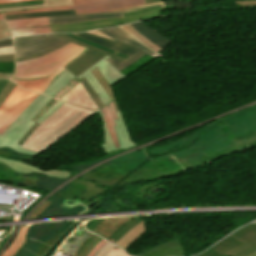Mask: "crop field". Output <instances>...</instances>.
Returning <instances> with one entry per match:
<instances>
[{
    "mask_svg": "<svg viewBox=\"0 0 256 256\" xmlns=\"http://www.w3.org/2000/svg\"><path fill=\"white\" fill-rule=\"evenodd\" d=\"M10 31L13 37L20 36V35H29V34L50 33L49 26L27 28V29H16V30H10Z\"/></svg>",
    "mask_w": 256,
    "mask_h": 256,
    "instance_id": "crop-field-31",
    "label": "crop field"
},
{
    "mask_svg": "<svg viewBox=\"0 0 256 256\" xmlns=\"http://www.w3.org/2000/svg\"><path fill=\"white\" fill-rule=\"evenodd\" d=\"M108 190L109 188L99 187L98 185L90 181L74 180L61 188L59 191H57L55 195L64 198L84 199L90 201L96 196Z\"/></svg>",
    "mask_w": 256,
    "mask_h": 256,
    "instance_id": "crop-field-14",
    "label": "crop field"
},
{
    "mask_svg": "<svg viewBox=\"0 0 256 256\" xmlns=\"http://www.w3.org/2000/svg\"><path fill=\"white\" fill-rule=\"evenodd\" d=\"M178 246H182L181 242L179 241V239H176L174 241H170V242H167V243H163V244H160V245H157V246H154L146 251H143L135 256H144L148 253H151L153 251H156V250H159V249H164V248H170V247H178Z\"/></svg>",
    "mask_w": 256,
    "mask_h": 256,
    "instance_id": "crop-field-33",
    "label": "crop field"
},
{
    "mask_svg": "<svg viewBox=\"0 0 256 256\" xmlns=\"http://www.w3.org/2000/svg\"><path fill=\"white\" fill-rule=\"evenodd\" d=\"M146 256H185L183 247L164 249Z\"/></svg>",
    "mask_w": 256,
    "mask_h": 256,
    "instance_id": "crop-field-32",
    "label": "crop field"
},
{
    "mask_svg": "<svg viewBox=\"0 0 256 256\" xmlns=\"http://www.w3.org/2000/svg\"><path fill=\"white\" fill-rule=\"evenodd\" d=\"M43 3L44 5H40V6L3 9V10H0V12L27 10V9L44 8V7H56V6H65V5L72 4L71 0H43Z\"/></svg>",
    "mask_w": 256,
    "mask_h": 256,
    "instance_id": "crop-field-28",
    "label": "crop field"
},
{
    "mask_svg": "<svg viewBox=\"0 0 256 256\" xmlns=\"http://www.w3.org/2000/svg\"><path fill=\"white\" fill-rule=\"evenodd\" d=\"M63 233L59 232L54 238L50 239L49 241L43 243L38 247V253L36 256H43L48 249L54 244V242L62 235Z\"/></svg>",
    "mask_w": 256,
    "mask_h": 256,
    "instance_id": "crop-field-35",
    "label": "crop field"
},
{
    "mask_svg": "<svg viewBox=\"0 0 256 256\" xmlns=\"http://www.w3.org/2000/svg\"><path fill=\"white\" fill-rule=\"evenodd\" d=\"M100 31H102L103 33H105L106 35L110 36L111 38H113L116 41H119V42H122V43H126V44L132 45V46L140 49L139 51H137L136 53L132 54L125 61H123L121 63L118 62L117 60L111 58V57L109 59H107L110 62V64L113 67H115L116 69H118L119 71L124 69L130 63L136 61L137 59H139L140 57H142L146 53L151 55V56H153V57H156V58L160 57V56L155 55L154 53H152L148 49H146L144 46H142L140 43H138L132 37L127 35L119 27H117V28H110V29H100Z\"/></svg>",
    "mask_w": 256,
    "mask_h": 256,
    "instance_id": "crop-field-13",
    "label": "crop field"
},
{
    "mask_svg": "<svg viewBox=\"0 0 256 256\" xmlns=\"http://www.w3.org/2000/svg\"><path fill=\"white\" fill-rule=\"evenodd\" d=\"M106 256H130L124 251L116 248L115 246L111 249V251Z\"/></svg>",
    "mask_w": 256,
    "mask_h": 256,
    "instance_id": "crop-field-46",
    "label": "crop field"
},
{
    "mask_svg": "<svg viewBox=\"0 0 256 256\" xmlns=\"http://www.w3.org/2000/svg\"><path fill=\"white\" fill-rule=\"evenodd\" d=\"M36 95L37 93L15 86L0 106V135Z\"/></svg>",
    "mask_w": 256,
    "mask_h": 256,
    "instance_id": "crop-field-7",
    "label": "crop field"
},
{
    "mask_svg": "<svg viewBox=\"0 0 256 256\" xmlns=\"http://www.w3.org/2000/svg\"><path fill=\"white\" fill-rule=\"evenodd\" d=\"M158 6H163V5H158ZM158 6H150L145 8L131 9L126 11H118V12L83 14V15H74V16H65V17H49V20H50V24H63V23H77V22H88V21L121 18V17H124L123 13H126V12L158 7Z\"/></svg>",
    "mask_w": 256,
    "mask_h": 256,
    "instance_id": "crop-field-16",
    "label": "crop field"
},
{
    "mask_svg": "<svg viewBox=\"0 0 256 256\" xmlns=\"http://www.w3.org/2000/svg\"><path fill=\"white\" fill-rule=\"evenodd\" d=\"M198 256H256V224H250L231 234Z\"/></svg>",
    "mask_w": 256,
    "mask_h": 256,
    "instance_id": "crop-field-3",
    "label": "crop field"
},
{
    "mask_svg": "<svg viewBox=\"0 0 256 256\" xmlns=\"http://www.w3.org/2000/svg\"><path fill=\"white\" fill-rule=\"evenodd\" d=\"M72 1L74 5H71V6L34 9V10H27V11L3 13V14L32 13V12L67 10V9H75L77 14H82V13H93V12L117 11V10L144 7L149 5L163 4L162 2H158V3L144 5L143 0H72Z\"/></svg>",
    "mask_w": 256,
    "mask_h": 256,
    "instance_id": "crop-field-4",
    "label": "crop field"
},
{
    "mask_svg": "<svg viewBox=\"0 0 256 256\" xmlns=\"http://www.w3.org/2000/svg\"><path fill=\"white\" fill-rule=\"evenodd\" d=\"M79 81L83 84L86 91L89 93V95L92 97V99L96 102V104L99 106V108L103 107V103L100 101V99L97 97V95L94 93V91L91 89V87L86 82L85 78L79 79Z\"/></svg>",
    "mask_w": 256,
    "mask_h": 256,
    "instance_id": "crop-field-36",
    "label": "crop field"
},
{
    "mask_svg": "<svg viewBox=\"0 0 256 256\" xmlns=\"http://www.w3.org/2000/svg\"><path fill=\"white\" fill-rule=\"evenodd\" d=\"M99 237L97 235H93L89 241L82 247V249L78 252V254L76 256H83L88 250L89 248L95 243V241L98 239Z\"/></svg>",
    "mask_w": 256,
    "mask_h": 256,
    "instance_id": "crop-field-39",
    "label": "crop field"
},
{
    "mask_svg": "<svg viewBox=\"0 0 256 256\" xmlns=\"http://www.w3.org/2000/svg\"><path fill=\"white\" fill-rule=\"evenodd\" d=\"M66 35H68V36H70V37H72V38H74V39H76V40H78V41H81V42H83V43L92 45V46L97 47V48H100V49H102V50H104V51H107V52H110V53H112V54H115V55H117V56H119V57H122V58H124V59L127 58V56H125V55H122V54H120V53H118V52H115V51H112V50H110V49H107V48H105V47L96 45V44H94V43L88 42V41H86V40L80 39V38L75 37V36H73V35H71V34H66Z\"/></svg>",
    "mask_w": 256,
    "mask_h": 256,
    "instance_id": "crop-field-37",
    "label": "crop field"
},
{
    "mask_svg": "<svg viewBox=\"0 0 256 256\" xmlns=\"http://www.w3.org/2000/svg\"><path fill=\"white\" fill-rule=\"evenodd\" d=\"M7 37H11L10 32L5 25V22L4 21L0 22V39L7 38Z\"/></svg>",
    "mask_w": 256,
    "mask_h": 256,
    "instance_id": "crop-field-44",
    "label": "crop field"
},
{
    "mask_svg": "<svg viewBox=\"0 0 256 256\" xmlns=\"http://www.w3.org/2000/svg\"><path fill=\"white\" fill-rule=\"evenodd\" d=\"M67 73H69V72H67L66 70L56 79V80H54L41 94H44V95H46L49 91H50V89L63 77V76H65Z\"/></svg>",
    "mask_w": 256,
    "mask_h": 256,
    "instance_id": "crop-field-47",
    "label": "crop field"
},
{
    "mask_svg": "<svg viewBox=\"0 0 256 256\" xmlns=\"http://www.w3.org/2000/svg\"><path fill=\"white\" fill-rule=\"evenodd\" d=\"M144 223L139 217H135L120 228L108 241L125 250L145 233Z\"/></svg>",
    "mask_w": 256,
    "mask_h": 256,
    "instance_id": "crop-field-15",
    "label": "crop field"
},
{
    "mask_svg": "<svg viewBox=\"0 0 256 256\" xmlns=\"http://www.w3.org/2000/svg\"><path fill=\"white\" fill-rule=\"evenodd\" d=\"M101 111L110 136L118 151L136 145L128 133L127 126L120 112H116L113 101L102 108Z\"/></svg>",
    "mask_w": 256,
    "mask_h": 256,
    "instance_id": "crop-field-9",
    "label": "crop field"
},
{
    "mask_svg": "<svg viewBox=\"0 0 256 256\" xmlns=\"http://www.w3.org/2000/svg\"><path fill=\"white\" fill-rule=\"evenodd\" d=\"M102 219H97L96 221L93 222V224L88 228V230H92Z\"/></svg>",
    "mask_w": 256,
    "mask_h": 256,
    "instance_id": "crop-field-56",
    "label": "crop field"
},
{
    "mask_svg": "<svg viewBox=\"0 0 256 256\" xmlns=\"http://www.w3.org/2000/svg\"><path fill=\"white\" fill-rule=\"evenodd\" d=\"M235 2L239 6L256 5V0H239Z\"/></svg>",
    "mask_w": 256,
    "mask_h": 256,
    "instance_id": "crop-field-48",
    "label": "crop field"
},
{
    "mask_svg": "<svg viewBox=\"0 0 256 256\" xmlns=\"http://www.w3.org/2000/svg\"><path fill=\"white\" fill-rule=\"evenodd\" d=\"M50 100V98L43 97L42 100L37 104V106L32 110V112L27 116V118L32 119Z\"/></svg>",
    "mask_w": 256,
    "mask_h": 256,
    "instance_id": "crop-field-38",
    "label": "crop field"
},
{
    "mask_svg": "<svg viewBox=\"0 0 256 256\" xmlns=\"http://www.w3.org/2000/svg\"><path fill=\"white\" fill-rule=\"evenodd\" d=\"M256 108V106H254Z\"/></svg>",
    "mask_w": 256,
    "mask_h": 256,
    "instance_id": "crop-field-62",
    "label": "crop field"
},
{
    "mask_svg": "<svg viewBox=\"0 0 256 256\" xmlns=\"http://www.w3.org/2000/svg\"><path fill=\"white\" fill-rule=\"evenodd\" d=\"M126 27L129 29L130 32H132L137 38L141 39L142 41H144L145 43H147L148 45H150L151 47H153L155 50H157L158 52L161 51V49H159L158 47H156L154 44H152L151 42H149L148 40H146L145 38H143L140 34H138L133 28H131L129 25H126Z\"/></svg>",
    "mask_w": 256,
    "mask_h": 256,
    "instance_id": "crop-field-43",
    "label": "crop field"
},
{
    "mask_svg": "<svg viewBox=\"0 0 256 256\" xmlns=\"http://www.w3.org/2000/svg\"><path fill=\"white\" fill-rule=\"evenodd\" d=\"M60 100L67 101L78 106L99 110L80 82L64 94Z\"/></svg>",
    "mask_w": 256,
    "mask_h": 256,
    "instance_id": "crop-field-19",
    "label": "crop field"
},
{
    "mask_svg": "<svg viewBox=\"0 0 256 256\" xmlns=\"http://www.w3.org/2000/svg\"><path fill=\"white\" fill-rule=\"evenodd\" d=\"M10 45H13L12 39H7V40H1L0 41V47L10 46Z\"/></svg>",
    "mask_w": 256,
    "mask_h": 256,
    "instance_id": "crop-field-54",
    "label": "crop field"
},
{
    "mask_svg": "<svg viewBox=\"0 0 256 256\" xmlns=\"http://www.w3.org/2000/svg\"><path fill=\"white\" fill-rule=\"evenodd\" d=\"M231 144L230 146H233V148L225 153H214V154H205L204 159L200 162V163H195V164H188L185 161V158L181 159V158H177L176 160L183 166V168L188 169V168H192L194 166L200 165L202 163H205L209 160L215 159L217 157L223 156L225 154H228L236 149L248 146V145H252L254 143H256V132L253 133H249L240 137H237L233 140L230 141ZM229 147V146H228ZM227 148V147H226ZM225 149V148H224Z\"/></svg>",
    "mask_w": 256,
    "mask_h": 256,
    "instance_id": "crop-field-18",
    "label": "crop field"
},
{
    "mask_svg": "<svg viewBox=\"0 0 256 256\" xmlns=\"http://www.w3.org/2000/svg\"><path fill=\"white\" fill-rule=\"evenodd\" d=\"M62 104L63 103L59 101L54 103L36 122L40 124L44 119H46L53 111H55Z\"/></svg>",
    "mask_w": 256,
    "mask_h": 256,
    "instance_id": "crop-field-40",
    "label": "crop field"
},
{
    "mask_svg": "<svg viewBox=\"0 0 256 256\" xmlns=\"http://www.w3.org/2000/svg\"><path fill=\"white\" fill-rule=\"evenodd\" d=\"M51 203L52 201L43 202L41 206L37 210H35L28 219H35L36 217H38V215L42 213L46 208H48Z\"/></svg>",
    "mask_w": 256,
    "mask_h": 256,
    "instance_id": "crop-field-41",
    "label": "crop field"
},
{
    "mask_svg": "<svg viewBox=\"0 0 256 256\" xmlns=\"http://www.w3.org/2000/svg\"><path fill=\"white\" fill-rule=\"evenodd\" d=\"M93 113L64 103L35 129L21 147L41 152Z\"/></svg>",
    "mask_w": 256,
    "mask_h": 256,
    "instance_id": "crop-field-2",
    "label": "crop field"
},
{
    "mask_svg": "<svg viewBox=\"0 0 256 256\" xmlns=\"http://www.w3.org/2000/svg\"><path fill=\"white\" fill-rule=\"evenodd\" d=\"M0 161L6 164L7 166L14 169V171L20 172V173H31V172H39L41 174H44L46 177H56L58 179H66L70 178V174L66 172H60V171H41L37 168L25 165L22 162L1 158Z\"/></svg>",
    "mask_w": 256,
    "mask_h": 256,
    "instance_id": "crop-field-21",
    "label": "crop field"
},
{
    "mask_svg": "<svg viewBox=\"0 0 256 256\" xmlns=\"http://www.w3.org/2000/svg\"><path fill=\"white\" fill-rule=\"evenodd\" d=\"M57 37L67 39L69 41H72L74 43H77L79 45L85 46L90 48L88 51H86L83 55H81L76 60L72 61L70 64H68L66 67H64L66 70H68L70 73H72L74 76H78L83 71H85L88 67H90L92 64L100 60L102 57L109 55L117 59L118 61H123L124 59L119 58L115 55H112L110 53L104 52L102 50H99L97 48L91 47L89 45L83 44L81 42H78L64 34H53Z\"/></svg>",
    "mask_w": 256,
    "mask_h": 256,
    "instance_id": "crop-field-12",
    "label": "crop field"
},
{
    "mask_svg": "<svg viewBox=\"0 0 256 256\" xmlns=\"http://www.w3.org/2000/svg\"><path fill=\"white\" fill-rule=\"evenodd\" d=\"M4 20L3 17H2V14H0V21Z\"/></svg>",
    "mask_w": 256,
    "mask_h": 256,
    "instance_id": "crop-field-61",
    "label": "crop field"
},
{
    "mask_svg": "<svg viewBox=\"0 0 256 256\" xmlns=\"http://www.w3.org/2000/svg\"><path fill=\"white\" fill-rule=\"evenodd\" d=\"M142 161H144V158L124 164L103 165L83 177L86 178L85 180L93 181L99 186L112 188L123 176L130 173Z\"/></svg>",
    "mask_w": 256,
    "mask_h": 256,
    "instance_id": "crop-field-10",
    "label": "crop field"
},
{
    "mask_svg": "<svg viewBox=\"0 0 256 256\" xmlns=\"http://www.w3.org/2000/svg\"><path fill=\"white\" fill-rule=\"evenodd\" d=\"M42 97V95L38 94L36 98L19 114L13 123L0 136V149L6 147L20 132V130L30 121V119L25 117L31 112V110L36 106Z\"/></svg>",
    "mask_w": 256,
    "mask_h": 256,
    "instance_id": "crop-field-17",
    "label": "crop field"
},
{
    "mask_svg": "<svg viewBox=\"0 0 256 256\" xmlns=\"http://www.w3.org/2000/svg\"><path fill=\"white\" fill-rule=\"evenodd\" d=\"M31 226H25L19 230L2 256H14L20 250V248L26 244L28 230Z\"/></svg>",
    "mask_w": 256,
    "mask_h": 256,
    "instance_id": "crop-field-24",
    "label": "crop field"
},
{
    "mask_svg": "<svg viewBox=\"0 0 256 256\" xmlns=\"http://www.w3.org/2000/svg\"><path fill=\"white\" fill-rule=\"evenodd\" d=\"M179 171L182 170L172 158L158 162H150L147 160L139 168L127 176L122 182H120L116 188L135 182L162 177L164 175ZM159 172H161V174H159Z\"/></svg>",
    "mask_w": 256,
    "mask_h": 256,
    "instance_id": "crop-field-8",
    "label": "crop field"
},
{
    "mask_svg": "<svg viewBox=\"0 0 256 256\" xmlns=\"http://www.w3.org/2000/svg\"><path fill=\"white\" fill-rule=\"evenodd\" d=\"M6 22L10 29L49 25L48 17L22 19V20H14V21H6Z\"/></svg>",
    "mask_w": 256,
    "mask_h": 256,
    "instance_id": "crop-field-25",
    "label": "crop field"
},
{
    "mask_svg": "<svg viewBox=\"0 0 256 256\" xmlns=\"http://www.w3.org/2000/svg\"><path fill=\"white\" fill-rule=\"evenodd\" d=\"M75 36H78L80 38L86 39L88 41L94 42L96 44L105 46L107 48L113 49L115 51H118L122 54H125L127 56L131 55L132 53L136 52L138 49H135L129 45H125L122 43H118L103 37H99V36H95V35H91L87 32H83V33H78V34H73ZM112 50V51H113Z\"/></svg>",
    "mask_w": 256,
    "mask_h": 256,
    "instance_id": "crop-field-20",
    "label": "crop field"
},
{
    "mask_svg": "<svg viewBox=\"0 0 256 256\" xmlns=\"http://www.w3.org/2000/svg\"><path fill=\"white\" fill-rule=\"evenodd\" d=\"M12 75L10 74H3V73H0V78H11Z\"/></svg>",
    "mask_w": 256,
    "mask_h": 256,
    "instance_id": "crop-field-59",
    "label": "crop field"
},
{
    "mask_svg": "<svg viewBox=\"0 0 256 256\" xmlns=\"http://www.w3.org/2000/svg\"><path fill=\"white\" fill-rule=\"evenodd\" d=\"M8 80H3L0 79V92L2 91V89L5 87V85L7 84Z\"/></svg>",
    "mask_w": 256,
    "mask_h": 256,
    "instance_id": "crop-field-55",
    "label": "crop field"
},
{
    "mask_svg": "<svg viewBox=\"0 0 256 256\" xmlns=\"http://www.w3.org/2000/svg\"><path fill=\"white\" fill-rule=\"evenodd\" d=\"M14 86H15V84H13L11 81H9V83L6 85V87L0 93V105L5 100V98L10 93V91L13 89Z\"/></svg>",
    "mask_w": 256,
    "mask_h": 256,
    "instance_id": "crop-field-42",
    "label": "crop field"
},
{
    "mask_svg": "<svg viewBox=\"0 0 256 256\" xmlns=\"http://www.w3.org/2000/svg\"><path fill=\"white\" fill-rule=\"evenodd\" d=\"M15 172L10 168L0 163V181L11 183L14 178Z\"/></svg>",
    "mask_w": 256,
    "mask_h": 256,
    "instance_id": "crop-field-34",
    "label": "crop field"
},
{
    "mask_svg": "<svg viewBox=\"0 0 256 256\" xmlns=\"http://www.w3.org/2000/svg\"><path fill=\"white\" fill-rule=\"evenodd\" d=\"M101 240H103V239H98L97 241H96V243L91 247V249L84 255V256H88L89 255V253H90V251L101 241Z\"/></svg>",
    "mask_w": 256,
    "mask_h": 256,
    "instance_id": "crop-field-58",
    "label": "crop field"
},
{
    "mask_svg": "<svg viewBox=\"0 0 256 256\" xmlns=\"http://www.w3.org/2000/svg\"><path fill=\"white\" fill-rule=\"evenodd\" d=\"M145 4L147 3H152V2H157V1H162V0H144Z\"/></svg>",
    "mask_w": 256,
    "mask_h": 256,
    "instance_id": "crop-field-60",
    "label": "crop field"
},
{
    "mask_svg": "<svg viewBox=\"0 0 256 256\" xmlns=\"http://www.w3.org/2000/svg\"><path fill=\"white\" fill-rule=\"evenodd\" d=\"M76 14L74 10L68 11H54V12H43V13H33V14H13L4 15L6 20L31 18V17H47V16H64V15H74Z\"/></svg>",
    "mask_w": 256,
    "mask_h": 256,
    "instance_id": "crop-field-26",
    "label": "crop field"
},
{
    "mask_svg": "<svg viewBox=\"0 0 256 256\" xmlns=\"http://www.w3.org/2000/svg\"><path fill=\"white\" fill-rule=\"evenodd\" d=\"M66 41L51 35H40L31 37L14 38L15 57H27L43 53L52 48L60 46Z\"/></svg>",
    "mask_w": 256,
    "mask_h": 256,
    "instance_id": "crop-field-11",
    "label": "crop field"
},
{
    "mask_svg": "<svg viewBox=\"0 0 256 256\" xmlns=\"http://www.w3.org/2000/svg\"><path fill=\"white\" fill-rule=\"evenodd\" d=\"M92 75L96 78V80L100 83V85L103 87V89L106 91L108 96L110 97L111 101L113 100L116 106V110L119 111L118 105L114 99L111 86L106 82V80L103 78V76L100 74V72L96 69L90 71Z\"/></svg>",
    "mask_w": 256,
    "mask_h": 256,
    "instance_id": "crop-field-30",
    "label": "crop field"
},
{
    "mask_svg": "<svg viewBox=\"0 0 256 256\" xmlns=\"http://www.w3.org/2000/svg\"><path fill=\"white\" fill-rule=\"evenodd\" d=\"M108 56L102 58L100 61L92 65L90 68H88L85 72H83L81 75L77 77V79L81 77H85L87 82L90 84V86L93 88L95 93L98 95V97L101 99V101L105 104L110 102V99L108 98L107 94L104 92V90L101 88V86L98 84V82L95 80V78L91 75L89 72L93 68L97 67L99 71L102 73V75L105 77V79L108 81L109 84L113 85L114 83L124 79L126 76L119 73L118 70L113 68L109 62L106 60ZM74 77L72 74L66 75L64 78H62L47 94V96L53 97L56 93H58L67 83H69Z\"/></svg>",
    "mask_w": 256,
    "mask_h": 256,
    "instance_id": "crop-field-5",
    "label": "crop field"
},
{
    "mask_svg": "<svg viewBox=\"0 0 256 256\" xmlns=\"http://www.w3.org/2000/svg\"><path fill=\"white\" fill-rule=\"evenodd\" d=\"M122 29H124L128 34H130L134 39H136L137 41H139L140 43L144 44L145 46H147L149 49H151L153 52L159 54L157 51H155L154 49H152L150 46H148L147 44H145L144 42H142L141 40L137 39L133 34H131L127 28L125 26H122Z\"/></svg>",
    "mask_w": 256,
    "mask_h": 256,
    "instance_id": "crop-field-53",
    "label": "crop field"
},
{
    "mask_svg": "<svg viewBox=\"0 0 256 256\" xmlns=\"http://www.w3.org/2000/svg\"><path fill=\"white\" fill-rule=\"evenodd\" d=\"M21 1H30V0H6V1H0V3L21 2Z\"/></svg>",
    "mask_w": 256,
    "mask_h": 256,
    "instance_id": "crop-field-57",
    "label": "crop field"
},
{
    "mask_svg": "<svg viewBox=\"0 0 256 256\" xmlns=\"http://www.w3.org/2000/svg\"><path fill=\"white\" fill-rule=\"evenodd\" d=\"M31 121L21 130V132L12 140V142L7 147L12 148V149H14V150H16L18 152L24 153V154H30V155H34V156L39 154L37 152H33V151H30V150H27V149L19 148L20 145L17 144L20 141V139L26 134V132L34 124Z\"/></svg>",
    "mask_w": 256,
    "mask_h": 256,
    "instance_id": "crop-field-27",
    "label": "crop field"
},
{
    "mask_svg": "<svg viewBox=\"0 0 256 256\" xmlns=\"http://www.w3.org/2000/svg\"><path fill=\"white\" fill-rule=\"evenodd\" d=\"M131 27H133L138 33H140L143 37L154 43L159 48L163 49L166 46H168L170 43L169 40H167L165 37L160 35L158 32H156L154 29H152L150 26H148L143 21L130 24Z\"/></svg>",
    "mask_w": 256,
    "mask_h": 256,
    "instance_id": "crop-field-23",
    "label": "crop field"
},
{
    "mask_svg": "<svg viewBox=\"0 0 256 256\" xmlns=\"http://www.w3.org/2000/svg\"><path fill=\"white\" fill-rule=\"evenodd\" d=\"M163 7L146 9L131 13H126L125 18L105 20L97 22L88 23H77V24H64V25H50L51 33H61V32H82L88 30H94L105 27H113L123 25L128 22L137 21L145 18L159 16Z\"/></svg>",
    "mask_w": 256,
    "mask_h": 256,
    "instance_id": "crop-field-6",
    "label": "crop field"
},
{
    "mask_svg": "<svg viewBox=\"0 0 256 256\" xmlns=\"http://www.w3.org/2000/svg\"><path fill=\"white\" fill-rule=\"evenodd\" d=\"M133 217L128 218H112L103 219L92 232L100 235L104 239L108 240L120 227L126 222L131 220Z\"/></svg>",
    "mask_w": 256,
    "mask_h": 256,
    "instance_id": "crop-field-22",
    "label": "crop field"
},
{
    "mask_svg": "<svg viewBox=\"0 0 256 256\" xmlns=\"http://www.w3.org/2000/svg\"><path fill=\"white\" fill-rule=\"evenodd\" d=\"M87 48L69 43L61 49L34 60L16 62V72L13 78L35 79L50 76L46 79L19 81L17 85L41 93L65 69L69 62L79 57Z\"/></svg>",
    "mask_w": 256,
    "mask_h": 256,
    "instance_id": "crop-field-1",
    "label": "crop field"
},
{
    "mask_svg": "<svg viewBox=\"0 0 256 256\" xmlns=\"http://www.w3.org/2000/svg\"><path fill=\"white\" fill-rule=\"evenodd\" d=\"M13 54V46L0 48V55Z\"/></svg>",
    "mask_w": 256,
    "mask_h": 256,
    "instance_id": "crop-field-51",
    "label": "crop field"
},
{
    "mask_svg": "<svg viewBox=\"0 0 256 256\" xmlns=\"http://www.w3.org/2000/svg\"><path fill=\"white\" fill-rule=\"evenodd\" d=\"M40 4H43V3L42 2H38V3H28V4H19V5L0 6V9L11 8V7L33 6V5H40Z\"/></svg>",
    "mask_w": 256,
    "mask_h": 256,
    "instance_id": "crop-field-50",
    "label": "crop field"
},
{
    "mask_svg": "<svg viewBox=\"0 0 256 256\" xmlns=\"http://www.w3.org/2000/svg\"><path fill=\"white\" fill-rule=\"evenodd\" d=\"M113 246L114 245L106 242L105 245L100 249V251L95 256H105Z\"/></svg>",
    "mask_w": 256,
    "mask_h": 256,
    "instance_id": "crop-field-45",
    "label": "crop field"
},
{
    "mask_svg": "<svg viewBox=\"0 0 256 256\" xmlns=\"http://www.w3.org/2000/svg\"><path fill=\"white\" fill-rule=\"evenodd\" d=\"M98 113L101 116L102 126H103V130H104V141H105V143L100 145V146L102 147L105 154L109 155V154H112V153L116 152L117 150H116V148H115V146H114V144H113V142H112V140L109 136V133L107 131L106 125H105L103 117L101 115V112L98 111Z\"/></svg>",
    "mask_w": 256,
    "mask_h": 256,
    "instance_id": "crop-field-29",
    "label": "crop field"
},
{
    "mask_svg": "<svg viewBox=\"0 0 256 256\" xmlns=\"http://www.w3.org/2000/svg\"><path fill=\"white\" fill-rule=\"evenodd\" d=\"M67 43H69V42H67ZM67 43H65V44H67ZM65 44L61 45L60 47L64 46ZM60 47H58V48H60ZM58 48L53 49V50L48 51V52H45V53H43V54H39V55L27 57V58L17 59L16 61H24V60H28V59H34V58H37V57H39V56H44V55H46V54H48V53H50V52H53V51L57 50Z\"/></svg>",
    "mask_w": 256,
    "mask_h": 256,
    "instance_id": "crop-field-49",
    "label": "crop field"
},
{
    "mask_svg": "<svg viewBox=\"0 0 256 256\" xmlns=\"http://www.w3.org/2000/svg\"><path fill=\"white\" fill-rule=\"evenodd\" d=\"M0 62H14L13 55L0 56Z\"/></svg>",
    "mask_w": 256,
    "mask_h": 256,
    "instance_id": "crop-field-52",
    "label": "crop field"
}]
</instances>
